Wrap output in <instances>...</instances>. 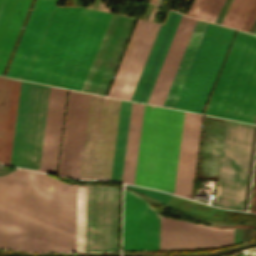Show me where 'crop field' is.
<instances>
[{
  "instance_id": "crop-field-1",
  "label": "crop field",
  "mask_w": 256,
  "mask_h": 256,
  "mask_svg": "<svg viewBox=\"0 0 256 256\" xmlns=\"http://www.w3.org/2000/svg\"><path fill=\"white\" fill-rule=\"evenodd\" d=\"M36 0L5 76L81 91L112 14Z\"/></svg>"
},
{
  "instance_id": "crop-field-2",
  "label": "crop field",
  "mask_w": 256,
  "mask_h": 256,
  "mask_svg": "<svg viewBox=\"0 0 256 256\" xmlns=\"http://www.w3.org/2000/svg\"><path fill=\"white\" fill-rule=\"evenodd\" d=\"M76 186L17 169L0 177V248L74 251Z\"/></svg>"
},
{
  "instance_id": "crop-field-3",
  "label": "crop field",
  "mask_w": 256,
  "mask_h": 256,
  "mask_svg": "<svg viewBox=\"0 0 256 256\" xmlns=\"http://www.w3.org/2000/svg\"><path fill=\"white\" fill-rule=\"evenodd\" d=\"M183 115L145 105L134 184L173 193Z\"/></svg>"
},
{
  "instance_id": "crop-field-4",
  "label": "crop field",
  "mask_w": 256,
  "mask_h": 256,
  "mask_svg": "<svg viewBox=\"0 0 256 256\" xmlns=\"http://www.w3.org/2000/svg\"><path fill=\"white\" fill-rule=\"evenodd\" d=\"M256 113V36L237 32L204 114L251 123Z\"/></svg>"
},
{
  "instance_id": "crop-field-5",
  "label": "crop field",
  "mask_w": 256,
  "mask_h": 256,
  "mask_svg": "<svg viewBox=\"0 0 256 256\" xmlns=\"http://www.w3.org/2000/svg\"><path fill=\"white\" fill-rule=\"evenodd\" d=\"M120 189L77 186L75 251L118 249Z\"/></svg>"
},
{
  "instance_id": "crop-field-6",
  "label": "crop field",
  "mask_w": 256,
  "mask_h": 256,
  "mask_svg": "<svg viewBox=\"0 0 256 256\" xmlns=\"http://www.w3.org/2000/svg\"><path fill=\"white\" fill-rule=\"evenodd\" d=\"M234 32L207 24L174 108L203 112Z\"/></svg>"
},
{
  "instance_id": "crop-field-7",
  "label": "crop field",
  "mask_w": 256,
  "mask_h": 256,
  "mask_svg": "<svg viewBox=\"0 0 256 256\" xmlns=\"http://www.w3.org/2000/svg\"><path fill=\"white\" fill-rule=\"evenodd\" d=\"M120 104L91 95L80 178L110 179Z\"/></svg>"
},
{
  "instance_id": "crop-field-8",
  "label": "crop field",
  "mask_w": 256,
  "mask_h": 256,
  "mask_svg": "<svg viewBox=\"0 0 256 256\" xmlns=\"http://www.w3.org/2000/svg\"><path fill=\"white\" fill-rule=\"evenodd\" d=\"M253 129L226 121L215 206L242 210Z\"/></svg>"
},
{
  "instance_id": "crop-field-9",
  "label": "crop field",
  "mask_w": 256,
  "mask_h": 256,
  "mask_svg": "<svg viewBox=\"0 0 256 256\" xmlns=\"http://www.w3.org/2000/svg\"><path fill=\"white\" fill-rule=\"evenodd\" d=\"M48 90L21 81L10 165L38 170Z\"/></svg>"
},
{
  "instance_id": "crop-field-10",
  "label": "crop field",
  "mask_w": 256,
  "mask_h": 256,
  "mask_svg": "<svg viewBox=\"0 0 256 256\" xmlns=\"http://www.w3.org/2000/svg\"><path fill=\"white\" fill-rule=\"evenodd\" d=\"M135 20L112 15L82 91L106 95Z\"/></svg>"
},
{
  "instance_id": "crop-field-11",
  "label": "crop field",
  "mask_w": 256,
  "mask_h": 256,
  "mask_svg": "<svg viewBox=\"0 0 256 256\" xmlns=\"http://www.w3.org/2000/svg\"><path fill=\"white\" fill-rule=\"evenodd\" d=\"M160 215L141 197L124 190L123 249L159 250Z\"/></svg>"
},
{
  "instance_id": "crop-field-12",
  "label": "crop field",
  "mask_w": 256,
  "mask_h": 256,
  "mask_svg": "<svg viewBox=\"0 0 256 256\" xmlns=\"http://www.w3.org/2000/svg\"><path fill=\"white\" fill-rule=\"evenodd\" d=\"M90 95L70 91L58 174L79 178Z\"/></svg>"
},
{
  "instance_id": "crop-field-13",
  "label": "crop field",
  "mask_w": 256,
  "mask_h": 256,
  "mask_svg": "<svg viewBox=\"0 0 256 256\" xmlns=\"http://www.w3.org/2000/svg\"><path fill=\"white\" fill-rule=\"evenodd\" d=\"M231 243L233 229H215L161 216L160 250L205 248Z\"/></svg>"
},
{
  "instance_id": "crop-field-14",
  "label": "crop field",
  "mask_w": 256,
  "mask_h": 256,
  "mask_svg": "<svg viewBox=\"0 0 256 256\" xmlns=\"http://www.w3.org/2000/svg\"><path fill=\"white\" fill-rule=\"evenodd\" d=\"M141 21H142V20L139 19L138 22H137V25H136V27H135V30H134V32H133V35H132V37H131V40H130V42H129V45H128V47H127V50H126V52H125L124 58H123V60H122V63H121V65H120V68H119V70H118V73H117V75H116V78H115V80H114V83H113L112 88H111V90H110V93H109V95H108L109 97L111 96L112 91H113V89H114V87H115V84H116V82H117V79H118L119 74H120V71H121V68H122V66H123L124 63H125V60H126V58H127V55H128V53H129V50H130V48H131V45H132V43H133V41H134V38H135V36H136V33H137V31H138V28H139V26H140ZM145 22H146V21L143 20L142 23H141V26H140V28H139V31H138L137 36H136V38H135V41H134V43H133V45H132V48H131V50H130V53H129V55H128V58H127V60H126V63H125V65H124V67L122 68L120 77H119V79H118V82H117V84H116V87H115V89H114L113 94H112L111 97H114L115 94H116V91H117V89H118V86H119V84H120V81H121V79H122V76H123L124 72H125L126 69H127V66H128V64H129V61H130V59H131V56H132L133 51H134V49H135V46H136V44H137V42H138V39H139V37H140V34H141V32H142V29H143V27H144ZM159 26H160L159 24H155V23L148 22V21L146 22L145 27H144V29H143V32H142V34H141V37H140V39H139V42H138V44H137V47H136V49H135V51H134V54H133V56H132V59H131V61H130L129 66H128V69H127L126 73H125L124 76H123V79H122V81H121V84H120V86H119V89H118L117 94H116L115 97H117V98H123V99H128V100L131 99L132 94H133L134 89H135V87H136L137 81H138V79H139V76H140L141 71H142V69H143V66H144V64H145V61H146V59H147V56H148V54H149V51H150V49H151L152 43H153V41H154V38H155V36H156V33H157V31H158Z\"/></svg>"
},
{
  "instance_id": "crop-field-15",
  "label": "crop field",
  "mask_w": 256,
  "mask_h": 256,
  "mask_svg": "<svg viewBox=\"0 0 256 256\" xmlns=\"http://www.w3.org/2000/svg\"><path fill=\"white\" fill-rule=\"evenodd\" d=\"M196 21V19L181 16L147 103L163 105Z\"/></svg>"
},
{
  "instance_id": "crop-field-16",
  "label": "crop field",
  "mask_w": 256,
  "mask_h": 256,
  "mask_svg": "<svg viewBox=\"0 0 256 256\" xmlns=\"http://www.w3.org/2000/svg\"><path fill=\"white\" fill-rule=\"evenodd\" d=\"M67 90H49L45 129L39 170L53 173L56 171L61 128Z\"/></svg>"
},
{
  "instance_id": "crop-field-17",
  "label": "crop field",
  "mask_w": 256,
  "mask_h": 256,
  "mask_svg": "<svg viewBox=\"0 0 256 256\" xmlns=\"http://www.w3.org/2000/svg\"><path fill=\"white\" fill-rule=\"evenodd\" d=\"M202 116L185 112L174 193L190 198Z\"/></svg>"
},
{
  "instance_id": "crop-field-18",
  "label": "crop field",
  "mask_w": 256,
  "mask_h": 256,
  "mask_svg": "<svg viewBox=\"0 0 256 256\" xmlns=\"http://www.w3.org/2000/svg\"><path fill=\"white\" fill-rule=\"evenodd\" d=\"M180 16L171 11L165 26H160L131 100L147 102Z\"/></svg>"
},
{
  "instance_id": "crop-field-19",
  "label": "crop field",
  "mask_w": 256,
  "mask_h": 256,
  "mask_svg": "<svg viewBox=\"0 0 256 256\" xmlns=\"http://www.w3.org/2000/svg\"><path fill=\"white\" fill-rule=\"evenodd\" d=\"M20 81L0 77V163L9 165Z\"/></svg>"
},
{
  "instance_id": "crop-field-20",
  "label": "crop field",
  "mask_w": 256,
  "mask_h": 256,
  "mask_svg": "<svg viewBox=\"0 0 256 256\" xmlns=\"http://www.w3.org/2000/svg\"><path fill=\"white\" fill-rule=\"evenodd\" d=\"M224 124L205 116L197 178L217 180Z\"/></svg>"
},
{
  "instance_id": "crop-field-21",
  "label": "crop field",
  "mask_w": 256,
  "mask_h": 256,
  "mask_svg": "<svg viewBox=\"0 0 256 256\" xmlns=\"http://www.w3.org/2000/svg\"><path fill=\"white\" fill-rule=\"evenodd\" d=\"M31 0H0V75Z\"/></svg>"
},
{
  "instance_id": "crop-field-22",
  "label": "crop field",
  "mask_w": 256,
  "mask_h": 256,
  "mask_svg": "<svg viewBox=\"0 0 256 256\" xmlns=\"http://www.w3.org/2000/svg\"><path fill=\"white\" fill-rule=\"evenodd\" d=\"M144 105L132 103L121 182L134 181Z\"/></svg>"
},
{
  "instance_id": "crop-field-23",
  "label": "crop field",
  "mask_w": 256,
  "mask_h": 256,
  "mask_svg": "<svg viewBox=\"0 0 256 256\" xmlns=\"http://www.w3.org/2000/svg\"><path fill=\"white\" fill-rule=\"evenodd\" d=\"M206 24H207L206 22H202L199 20L197 21L196 26L194 28V31L192 33V36L190 38V41L188 43V46L186 48V51L184 53V56L179 65V68L177 70V73L175 75V78L173 80V83L171 85V88L169 90V93L167 95V98H166L163 106H168V107H172V108L174 107Z\"/></svg>"
},
{
  "instance_id": "crop-field-24",
  "label": "crop field",
  "mask_w": 256,
  "mask_h": 256,
  "mask_svg": "<svg viewBox=\"0 0 256 256\" xmlns=\"http://www.w3.org/2000/svg\"><path fill=\"white\" fill-rule=\"evenodd\" d=\"M131 103L122 101L111 180L120 182Z\"/></svg>"
},
{
  "instance_id": "crop-field-25",
  "label": "crop field",
  "mask_w": 256,
  "mask_h": 256,
  "mask_svg": "<svg viewBox=\"0 0 256 256\" xmlns=\"http://www.w3.org/2000/svg\"><path fill=\"white\" fill-rule=\"evenodd\" d=\"M224 0H202L194 17L214 21Z\"/></svg>"
},
{
  "instance_id": "crop-field-26",
  "label": "crop field",
  "mask_w": 256,
  "mask_h": 256,
  "mask_svg": "<svg viewBox=\"0 0 256 256\" xmlns=\"http://www.w3.org/2000/svg\"><path fill=\"white\" fill-rule=\"evenodd\" d=\"M130 188L138 191V192H142V193H145L157 200H159L160 202L162 203H166L172 196L168 195V194H165V193H161V192H157V191H152V190H147V189H141V188H136V187H131L129 186Z\"/></svg>"
},
{
  "instance_id": "crop-field-27",
  "label": "crop field",
  "mask_w": 256,
  "mask_h": 256,
  "mask_svg": "<svg viewBox=\"0 0 256 256\" xmlns=\"http://www.w3.org/2000/svg\"><path fill=\"white\" fill-rule=\"evenodd\" d=\"M255 17H256V0H254V3H253L240 30L248 32Z\"/></svg>"
},
{
  "instance_id": "crop-field-28",
  "label": "crop field",
  "mask_w": 256,
  "mask_h": 256,
  "mask_svg": "<svg viewBox=\"0 0 256 256\" xmlns=\"http://www.w3.org/2000/svg\"><path fill=\"white\" fill-rule=\"evenodd\" d=\"M250 211L256 212V173H255V180H254V187H253V194H252V201H251Z\"/></svg>"
},
{
  "instance_id": "crop-field-29",
  "label": "crop field",
  "mask_w": 256,
  "mask_h": 256,
  "mask_svg": "<svg viewBox=\"0 0 256 256\" xmlns=\"http://www.w3.org/2000/svg\"><path fill=\"white\" fill-rule=\"evenodd\" d=\"M200 2H201V0H195L193 2L192 6H191V8H190V10H189V12L187 14L188 16H192V17L194 16V14H195V12H196Z\"/></svg>"
},
{
  "instance_id": "crop-field-30",
  "label": "crop field",
  "mask_w": 256,
  "mask_h": 256,
  "mask_svg": "<svg viewBox=\"0 0 256 256\" xmlns=\"http://www.w3.org/2000/svg\"><path fill=\"white\" fill-rule=\"evenodd\" d=\"M157 6H153V9H152V11H151V14H150V17H149V19L148 20H150V21H152L153 20V18H154V15H155V13H156V10H157Z\"/></svg>"
},
{
  "instance_id": "crop-field-31",
  "label": "crop field",
  "mask_w": 256,
  "mask_h": 256,
  "mask_svg": "<svg viewBox=\"0 0 256 256\" xmlns=\"http://www.w3.org/2000/svg\"><path fill=\"white\" fill-rule=\"evenodd\" d=\"M229 227H245V228H256L254 225H236V226H229ZM228 228V227H223Z\"/></svg>"
},
{
  "instance_id": "crop-field-32",
  "label": "crop field",
  "mask_w": 256,
  "mask_h": 256,
  "mask_svg": "<svg viewBox=\"0 0 256 256\" xmlns=\"http://www.w3.org/2000/svg\"><path fill=\"white\" fill-rule=\"evenodd\" d=\"M161 2H162V0H156V2H155V3L160 5V4H161Z\"/></svg>"
},
{
  "instance_id": "crop-field-33",
  "label": "crop field",
  "mask_w": 256,
  "mask_h": 256,
  "mask_svg": "<svg viewBox=\"0 0 256 256\" xmlns=\"http://www.w3.org/2000/svg\"><path fill=\"white\" fill-rule=\"evenodd\" d=\"M151 2H155V0H150Z\"/></svg>"
},
{
  "instance_id": "crop-field-34",
  "label": "crop field",
  "mask_w": 256,
  "mask_h": 256,
  "mask_svg": "<svg viewBox=\"0 0 256 256\" xmlns=\"http://www.w3.org/2000/svg\"><path fill=\"white\" fill-rule=\"evenodd\" d=\"M256 34V33H255Z\"/></svg>"
}]
</instances>
